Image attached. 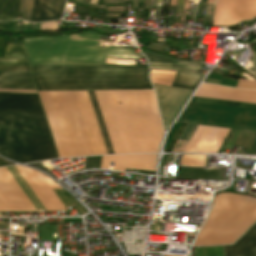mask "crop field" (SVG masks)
I'll use <instances>...</instances> for the list:
<instances>
[{
	"instance_id": "8a807250",
	"label": "crop field",
	"mask_w": 256,
	"mask_h": 256,
	"mask_svg": "<svg viewBox=\"0 0 256 256\" xmlns=\"http://www.w3.org/2000/svg\"><path fill=\"white\" fill-rule=\"evenodd\" d=\"M99 40L98 34L90 31L23 42L31 63L105 64L107 56L140 59L129 49L100 47ZM106 63L136 65L134 60L110 58ZM68 64H31L38 90L153 89L146 66Z\"/></svg>"
},
{
	"instance_id": "ac0d7876",
	"label": "crop field",
	"mask_w": 256,
	"mask_h": 256,
	"mask_svg": "<svg viewBox=\"0 0 256 256\" xmlns=\"http://www.w3.org/2000/svg\"><path fill=\"white\" fill-rule=\"evenodd\" d=\"M0 154L20 163L58 158L37 94L0 93Z\"/></svg>"
},
{
	"instance_id": "34b2d1b8",
	"label": "crop field",
	"mask_w": 256,
	"mask_h": 256,
	"mask_svg": "<svg viewBox=\"0 0 256 256\" xmlns=\"http://www.w3.org/2000/svg\"><path fill=\"white\" fill-rule=\"evenodd\" d=\"M39 94L60 158L94 155L74 92Z\"/></svg>"
},
{
	"instance_id": "412701ff",
	"label": "crop field",
	"mask_w": 256,
	"mask_h": 256,
	"mask_svg": "<svg viewBox=\"0 0 256 256\" xmlns=\"http://www.w3.org/2000/svg\"><path fill=\"white\" fill-rule=\"evenodd\" d=\"M256 222V198L219 194L194 246L232 244Z\"/></svg>"
},
{
	"instance_id": "f4fd0767",
	"label": "crop field",
	"mask_w": 256,
	"mask_h": 256,
	"mask_svg": "<svg viewBox=\"0 0 256 256\" xmlns=\"http://www.w3.org/2000/svg\"><path fill=\"white\" fill-rule=\"evenodd\" d=\"M47 211H66L52 189L61 188L46 175L29 168L16 166Z\"/></svg>"
},
{
	"instance_id": "dd49c442",
	"label": "crop field",
	"mask_w": 256,
	"mask_h": 256,
	"mask_svg": "<svg viewBox=\"0 0 256 256\" xmlns=\"http://www.w3.org/2000/svg\"><path fill=\"white\" fill-rule=\"evenodd\" d=\"M0 211H36L6 168H0Z\"/></svg>"
},
{
	"instance_id": "e52e79f7",
	"label": "crop field",
	"mask_w": 256,
	"mask_h": 256,
	"mask_svg": "<svg viewBox=\"0 0 256 256\" xmlns=\"http://www.w3.org/2000/svg\"><path fill=\"white\" fill-rule=\"evenodd\" d=\"M161 112L164 118V126L167 131L173 119L184 106L185 102L192 93L191 90L161 86L153 84Z\"/></svg>"
},
{
	"instance_id": "d8731c3e",
	"label": "crop field",
	"mask_w": 256,
	"mask_h": 256,
	"mask_svg": "<svg viewBox=\"0 0 256 256\" xmlns=\"http://www.w3.org/2000/svg\"><path fill=\"white\" fill-rule=\"evenodd\" d=\"M229 130L198 126L184 152L217 153Z\"/></svg>"
},
{
	"instance_id": "5a996713",
	"label": "crop field",
	"mask_w": 256,
	"mask_h": 256,
	"mask_svg": "<svg viewBox=\"0 0 256 256\" xmlns=\"http://www.w3.org/2000/svg\"><path fill=\"white\" fill-rule=\"evenodd\" d=\"M200 64V62H179V64L150 62L151 69L177 70L171 86L191 90H194L202 78L201 73L192 71L199 70ZM177 67L192 70H184Z\"/></svg>"
},
{
	"instance_id": "3316defc",
	"label": "crop field",
	"mask_w": 256,
	"mask_h": 256,
	"mask_svg": "<svg viewBox=\"0 0 256 256\" xmlns=\"http://www.w3.org/2000/svg\"><path fill=\"white\" fill-rule=\"evenodd\" d=\"M95 155L107 154L86 91H74Z\"/></svg>"
},
{
	"instance_id": "28ad6ade",
	"label": "crop field",
	"mask_w": 256,
	"mask_h": 256,
	"mask_svg": "<svg viewBox=\"0 0 256 256\" xmlns=\"http://www.w3.org/2000/svg\"><path fill=\"white\" fill-rule=\"evenodd\" d=\"M194 96L256 104V91L202 84Z\"/></svg>"
},
{
	"instance_id": "d1516ede",
	"label": "crop field",
	"mask_w": 256,
	"mask_h": 256,
	"mask_svg": "<svg viewBox=\"0 0 256 256\" xmlns=\"http://www.w3.org/2000/svg\"><path fill=\"white\" fill-rule=\"evenodd\" d=\"M65 0H34L31 22L58 19L62 16Z\"/></svg>"
},
{
	"instance_id": "22f410ed",
	"label": "crop field",
	"mask_w": 256,
	"mask_h": 256,
	"mask_svg": "<svg viewBox=\"0 0 256 256\" xmlns=\"http://www.w3.org/2000/svg\"><path fill=\"white\" fill-rule=\"evenodd\" d=\"M0 88L36 90L30 72L0 71Z\"/></svg>"
},
{
	"instance_id": "cbeb9de0",
	"label": "crop field",
	"mask_w": 256,
	"mask_h": 256,
	"mask_svg": "<svg viewBox=\"0 0 256 256\" xmlns=\"http://www.w3.org/2000/svg\"><path fill=\"white\" fill-rule=\"evenodd\" d=\"M225 256H256V224L233 246H224Z\"/></svg>"
},
{
	"instance_id": "5142ce71",
	"label": "crop field",
	"mask_w": 256,
	"mask_h": 256,
	"mask_svg": "<svg viewBox=\"0 0 256 256\" xmlns=\"http://www.w3.org/2000/svg\"><path fill=\"white\" fill-rule=\"evenodd\" d=\"M19 5L20 0H0V22L17 19Z\"/></svg>"
},
{
	"instance_id": "d9b57169",
	"label": "crop field",
	"mask_w": 256,
	"mask_h": 256,
	"mask_svg": "<svg viewBox=\"0 0 256 256\" xmlns=\"http://www.w3.org/2000/svg\"><path fill=\"white\" fill-rule=\"evenodd\" d=\"M87 92H88V95H89V98H90V101H91V104H92V107H93V110H94V113H95V116H96V119L98 122V126L100 129L107 153L114 154L111 144H110V141H109V138H108V135H107V132H106V129H105V126H104V122H103L94 92L93 91H87Z\"/></svg>"
},
{
	"instance_id": "733c2abd",
	"label": "crop field",
	"mask_w": 256,
	"mask_h": 256,
	"mask_svg": "<svg viewBox=\"0 0 256 256\" xmlns=\"http://www.w3.org/2000/svg\"><path fill=\"white\" fill-rule=\"evenodd\" d=\"M7 170L10 172V174L13 176L15 181L18 183V185L21 187L23 192L26 194V196L29 198L31 203L34 205V207L37 210H45L43 206L40 204L36 196L33 194L27 183L24 181L20 173L17 171L15 166L8 167Z\"/></svg>"
},
{
	"instance_id": "4a817a6b",
	"label": "crop field",
	"mask_w": 256,
	"mask_h": 256,
	"mask_svg": "<svg viewBox=\"0 0 256 256\" xmlns=\"http://www.w3.org/2000/svg\"><path fill=\"white\" fill-rule=\"evenodd\" d=\"M0 70L30 71L29 60L0 59Z\"/></svg>"
},
{
	"instance_id": "bc2a9ffb",
	"label": "crop field",
	"mask_w": 256,
	"mask_h": 256,
	"mask_svg": "<svg viewBox=\"0 0 256 256\" xmlns=\"http://www.w3.org/2000/svg\"><path fill=\"white\" fill-rule=\"evenodd\" d=\"M4 57L29 58L24 44H8Z\"/></svg>"
},
{
	"instance_id": "214f88e0",
	"label": "crop field",
	"mask_w": 256,
	"mask_h": 256,
	"mask_svg": "<svg viewBox=\"0 0 256 256\" xmlns=\"http://www.w3.org/2000/svg\"><path fill=\"white\" fill-rule=\"evenodd\" d=\"M191 101L256 109V105H253V104H245V103H237V102H229V101H221V100H213V99H205V98H197V97H192Z\"/></svg>"
},
{
	"instance_id": "92a150f3",
	"label": "crop field",
	"mask_w": 256,
	"mask_h": 256,
	"mask_svg": "<svg viewBox=\"0 0 256 256\" xmlns=\"http://www.w3.org/2000/svg\"><path fill=\"white\" fill-rule=\"evenodd\" d=\"M206 155H183L181 166H199L204 167Z\"/></svg>"
},
{
	"instance_id": "dafd665d",
	"label": "crop field",
	"mask_w": 256,
	"mask_h": 256,
	"mask_svg": "<svg viewBox=\"0 0 256 256\" xmlns=\"http://www.w3.org/2000/svg\"><path fill=\"white\" fill-rule=\"evenodd\" d=\"M255 138H256V133L255 132L241 131V133H240L239 137L237 138L235 144L250 149V147L253 144Z\"/></svg>"
},
{
	"instance_id": "00972430",
	"label": "crop field",
	"mask_w": 256,
	"mask_h": 256,
	"mask_svg": "<svg viewBox=\"0 0 256 256\" xmlns=\"http://www.w3.org/2000/svg\"><path fill=\"white\" fill-rule=\"evenodd\" d=\"M33 0H22L20 12L23 13L22 18L29 21Z\"/></svg>"
},
{
	"instance_id": "a9b5d70f",
	"label": "crop field",
	"mask_w": 256,
	"mask_h": 256,
	"mask_svg": "<svg viewBox=\"0 0 256 256\" xmlns=\"http://www.w3.org/2000/svg\"><path fill=\"white\" fill-rule=\"evenodd\" d=\"M241 75L244 77H247L251 80L240 79L237 87L256 89V80L253 77H251L250 75L243 74V73Z\"/></svg>"
},
{
	"instance_id": "4177f3b9",
	"label": "crop field",
	"mask_w": 256,
	"mask_h": 256,
	"mask_svg": "<svg viewBox=\"0 0 256 256\" xmlns=\"http://www.w3.org/2000/svg\"><path fill=\"white\" fill-rule=\"evenodd\" d=\"M197 126L196 125H190L187 124L184 132L182 133L180 139L183 140H190L191 136L193 135L194 131L196 130Z\"/></svg>"
},
{
	"instance_id": "730fd06b",
	"label": "crop field",
	"mask_w": 256,
	"mask_h": 256,
	"mask_svg": "<svg viewBox=\"0 0 256 256\" xmlns=\"http://www.w3.org/2000/svg\"><path fill=\"white\" fill-rule=\"evenodd\" d=\"M185 126H186V124H181L180 128L178 129L176 135L174 136L173 140L171 141V143H170L169 147L167 148L166 152H171L172 148L174 147L176 141L178 140V138L181 135Z\"/></svg>"
},
{
	"instance_id": "eef30255",
	"label": "crop field",
	"mask_w": 256,
	"mask_h": 256,
	"mask_svg": "<svg viewBox=\"0 0 256 256\" xmlns=\"http://www.w3.org/2000/svg\"><path fill=\"white\" fill-rule=\"evenodd\" d=\"M41 29L46 31L59 30L57 22H49V23L41 24Z\"/></svg>"
},
{
	"instance_id": "ae1a2a85",
	"label": "crop field",
	"mask_w": 256,
	"mask_h": 256,
	"mask_svg": "<svg viewBox=\"0 0 256 256\" xmlns=\"http://www.w3.org/2000/svg\"><path fill=\"white\" fill-rule=\"evenodd\" d=\"M125 7H108L106 11L123 12Z\"/></svg>"
},
{
	"instance_id": "d3111659",
	"label": "crop field",
	"mask_w": 256,
	"mask_h": 256,
	"mask_svg": "<svg viewBox=\"0 0 256 256\" xmlns=\"http://www.w3.org/2000/svg\"><path fill=\"white\" fill-rule=\"evenodd\" d=\"M14 163H11V162H8V161H5L3 159H0V166H4V165H12Z\"/></svg>"
},
{
	"instance_id": "750c4746",
	"label": "crop field",
	"mask_w": 256,
	"mask_h": 256,
	"mask_svg": "<svg viewBox=\"0 0 256 256\" xmlns=\"http://www.w3.org/2000/svg\"><path fill=\"white\" fill-rule=\"evenodd\" d=\"M126 2H130V0H122L121 4L126 3ZM136 4H137V0H134L132 9L136 10Z\"/></svg>"
},
{
	"instance_id": "bd1437ed",
	"label": "crop field",
	"mask_w": 256,
	"mask_h": 256,
	"mask_svg": "<svg viewBox=\"0 0 256 256\" xmlns=\"http://www.w3.org/2000/svg\"><path fill=\"white\" fill-rule=\"evenodd\" d=\"M119 0H115L114 5H118ZM114 0H110V5H113ZM105 5H109V0H105Z\"/></svg>"
},
{
	"instance_id": "1d83c4d3",
	"label": "crop field",
	"mask_w": 256,
	"mask_h": 256,
	"mask_svg": "<svg viewBox=\"0 0 256 256\" xmlns=\"http://www.w3.org/2000/svg\"><path fill=\"white\" fill-rule=\"evenodd\" d=\"M121 14H107L106 17H118Z\"/></svg>"
},
{
	"instance_id": "120bbe31",
	"label": "crop field",
	"mask_w": 256,
	"mask_h": 256,
	"mask_svg": "<svg viewBox=\"0 0 256 256\" xmlns=\"http://www.w3.org/2000/svg\"><path fill=\"white\" fill-rule=\"evenodd\" d=\"M149 2H150V0H146V4H145V9H149Z\"/></svg>"
},
{
	"instance_id": "d32e631a",
	"label": "crop field",
	"mask_w": 256,
	"mask_h": 256,
	"mask_svg": "<svg viewBox=\"0 0 256 256\" xmlns=\"http://www.w3.org/2000/svg\"><path fill=\"white\" fill-rule=\"evenodd\" d=\"M144 0H139L138 7H143Z\"/></svg>"
},
{
	"instance_id": "5866460e",
	"label": "crop field",
	"mask_w": 256,
	"mask_h": 256,
	"mask_svg": "<svg viewBox=\"0 0 256 256\" xmlns=\"http://www.w3.org/2000/svg\"><path fill=\"white\" fill-rule=\"evenodd\" d=\"M176 1L177 0H171V4L170 5L176 6Z\"/></svg>"
},
{
	"instance_id": "028f5c9d",
	"label": "crop field",
	"mask_w": 256,
	"mask_h": 256,
	"mask_svg": "<svg viewBox=\"0 0 256 256\" xmlns=\"http://www.w3.org/2000/svg\"><path fill=\"white\" fill-rule=\"evenodd\" d=\"M214 1H215V0H208V3H207V4L214 5Z\"/></svg>"
},
{
	"instance_id": "e1f06a70",
	"label": "crop field",
	"mask_w": 256,
	"mask_h": 256,
	"mask_svg": "<svg viewBox=\"0 0 256 256\" xmlns=\"http://www.w3.org/2000/svg\"><path fill=\"white\" fill-rule=\"evenodd\" d=\"M88 4V0H83V4L82 5H86Z\"/></svg>"
},
{
	"instance_id": "0bd39190",
	"label": "crop field",
	"mask_w": 256,
	"mask_h": 256,
	"mask_svg": "<svg viewBox=\"0 0 256 256\" xmlns=\"http://www.w3.org/2000/svg\"><path fill=\"white\" fill-rule=\"evenodd\" d=\"M90 7H94V8H104V6H90Z\"/></svg>"
},
{
	"instance_id": "b80d0937",
	"label": "crop field",
	"mask_w": 256,
	"mask_h": 256,
	"mask_svg": "<svg viewBox=\"0 0 256 256\" xmlns=\"http://www.w3.org/2000/svg\"><path fill=\"white\" fill-rule=\"evenodd\" d=\"M163 0H158L157 4H162Z\"/></svg>"
},
{
	"instance_id": "c035e120",
	"label": "crop field",
	"mask_w": 256,
	"mask_h": 256,
	"mask_svg": "<svg viewBox=\"0 0 256 256\" xmlns=\"http://www.w3.org/2000/svg\"><path fill=\"white\" fill-rule=\"evenodd\" d=\"M186 4H187V0H185V4H184V8H183V10H185V8H186Z\"/></svg>"
},
{
	"instance_id": "c21b1889",
	"label": "crop field",
	"mask_w": 256,
	"mask_h": 256,
	"mask_svg": "<svg viewBox=\"0 0 256 256\" xmlns=\"http://www.w3.org/2000/svg\"><path fill=\"white\" fill-rule=\"evenodd\" d=\"M77 2L81 4V3H82V0H78Z\"/></svg>"
},
{
	"instance_id": "03da06ac",
	"label": "crop field",
	"mask_w": 256,
	"mask_h": 256,
	"mask_svg": "<svg viewBox=\"0 0 256 256\" xmlns=\"http://www.w3.org/2000/svg\"><path fill=\"white\" fill-rule=\"evenodd\" d=\"M70 1H74V2H76L77 0H70Z\"/></svg>"
},
{
	"instance_id": "b54c1fbb",
	"label": "crop field",
	"mask_w": 256,
	"mask_h": 256,
	"mask_svg": "<svg viewBox=\"0 0 256 256\" xmlns=\"http://www.w3.org/2000/svg\"><path fill=\"white\" fill-rule=\"evenodd\" d=\"M121 1V0H120ZM120 1H119V5H120Z\"/></svg>"
},
{
	"instance_id": "5d738f31",
	"label": "crop field",
	"mask_w": 256,
	"mask_h": 256,
	"mask_svg": "<svg viewBox=\"0 0 256 256\" xmlns=\"http://www.w3.org/2000/svg\"><path fill=\"white\" fill-rule=\"evenodd\" d=\"M155 4H156V1H155ZM155 6V5H154Z\"/></svg>"
}]
</instances>
